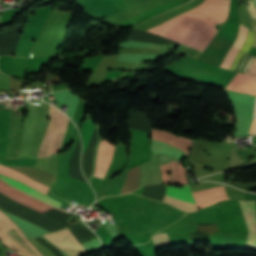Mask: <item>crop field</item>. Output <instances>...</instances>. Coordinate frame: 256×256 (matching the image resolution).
<instances>
[{
  "mask_svg": "<svg viewBox=\"0 0 256 256\" xmlns=\"http://www.w3.org/2000/svg\"><path fill=\"white\" fill-rule=\"evenodd\" d=\"M229 0H204L202 4L186 13L206 17L215 23L225 21ZM181 14L146 32L159 34L204 50L216 34L213 22L208 19Z\"/></svg>",
  "mask_w": 256,
  "mask_h": 256,
  "instance_id": "crop-field-1",
  "label": "crop field"
},
{
  "mask_svg": "<svg viewBox=\"0 0 256 256\" xmlns=\"http://www.w3.org/2000/svg\"><path fill=\"white\" fill-rule=\"evenodd\" d=\"M0 240L11 250L16 248L25 256H42L23 236L20 229L0 212Z\"/></svg>",
  "mask_w": 256,
  "mask_h": 256,
  "instance_id": "crop-field-2",
  "label": "crop field"
},
{
  "mask_svg": "<svg viewBox=\"0 0 256 256\" xmlns=\"http://www.w3.org/2000/svg\"><path fill=\"white\" fill-rule=\"evenodd\" d=\"M49 111H50L51 123L47 129L38 157L46 156V153L52 138V134L60 113V111L55 109L53 106H50ZM69 121L70 120L64 114L60 113L47 156H50L53 153H56L58 151Z\"/></svg>",
  "mask_w": 256,
  "mask_h": 256,
  "instance_id": "crop-field-3",
  "label": "crop field"
},
{
  "mask_svg": "<svg viewBox=\"0 0 256 256\" xmlns=\"http://www.w3.org/2000/svg\"><path fill=\"white\" fill-rule=\"evenodd\" d=\"M249 3H250V5H251V7H252V9L255 13V16H256V10H255L253 4L250 2V0H249ZM247 33H248V28H246V27H244L243 25L240 24L238 37H237L235 43L233 44V46L231 47V49L229 50V52L227 53L222 65H221L222 68L229 69L235 55L237 54L239 49L244 44V42L246 40V37H247ZM255 36H256V32H253V31L249 30L247 41L245 42V44L243 45V47L241 48V50L237 54L232 66L230 67V70L234 71L241 55L244 54V53L247 54V52L249 51L250 47L252 46V44L255 40Z\"/></svg>",
  "mask_w": 256,
  "mask_h": 256,
  "instance_id": "crop-field-4",
  "label": "crop field"
},
{
  "mask_svg": "<svg viewBox=\"0 0 256 256\" xmlns=\"http://www.w3.org/2000/svg\"><path fill=\"white\" fill-rule=\"evenodd\" d=\"M43 236L69 256H77L87 253L85 248L74 238L68 228Z\"/></svg>",
  "mask_w": 256,
  "mask_h": 256,
  "instance_id": "crop-field-5",
  "label": "crop field"
},
{
  "mask_svg": "<svg viewBox=\"0 0 256 256\" xmlns=\"http://www.w3.org/2000/svg\"><path fill=\"white\" fill-rule=\"evenodd\" d=\"M163 201L189 212L198 209V206L191 195L189 185L179 188L168 186Z\"/></svg>",
  "mask_w": 256,
  "mask_h": 256,
  "instance_id": "crop-field-6",
  "label": "crop field"
},
{
  "mask_svg": "<svg viewBox=\"0 0 256 256\" xmlns=\"http://www.w3.org/2000/svg\"><path fill=\"white\" fill-rule=\"evenodd\" d=\"M0 192L5 194L6 196L10 197L11 199L22 203L30 208L38 210L40 212H45L50 208H53L39 200H36L12 187L5 184L3 181L0 180Z\"/></svg>",
  "mask_w": 256,
  "mask_h": 256,
  "instance_id": "crop-field-7",
  "label": "crop field"
},
{
  "mask_svg": "<svg viewBox=\"0 0 256 256\" xmlns=\"http://www.w3.org/2000/svg\"><path fill=\"white\" fill-rule=\"evenodd\" d=\"M249 230L247 245L256 247V201H238Z\"/></svg>",
  "mask_w": 256,
  "mask_h": 256,
  "instance_id": "crop-field-8",
  "label": "crop field"
},
{
  "mask_svg": "<svg viewBox=\"0 0 256 256\" xmlns=\"http://www.w3.org/2000/svg\"><path fill=\"white\" fill-rule=\"evenodd\" d=\"M115 147L102 140L97 155V165L94 176L103 178L113 157Z\"/></svg>",
  "mask_w": 256,
  "mask_h": 256,
  "instance_id": "crop-field-9",
  "label": "crop field"
},
{
  "mask_svg": "<svg viewBox=\"0 0 256 256\" xmlns=\"http://www.w3.org/2000/svg\"><path fill=\"white\" fill-rule=\"evenodd\" d=\"M199 208L227 199L222 186L192 193Z\"/></svg>",
  "mask_w": 256,
  "mask_h": 256,
  "instance_id": "crop-field-10",
  "label": "crop field"
},
{
  "mask_svg": "<svg viewBox=\"0 0 256 256\" xmlns=\"http://www.w3.org/2000/svg\"><path fill=\"white\" fill-rule=\"evenodd\" d=\"M228 90L256 97V78L239 73Z\"/></svg>",
  "mask_w": 256,
  "mask_h": 256,
  "instance_id": "crop-field-11",
  "label": "crop field"
},
{
  "mask_svg": "<svg viewBox=\"0 0 256 256\" xmlns=\"http://www.w3.org/2000/svg\"><path fill=\"white\" fill-rule=\"evenodd\" d=\"M0 178L2 180H4L5 182H7L8 184H10V185H12V186H14V187L24 191L25 193H27V194H29V195H31V196H33V197H35V198H37V199H39L41 201L47 202V203H49V204H51V205H53V206H55L57 208H59L60 205L62 204V203L54 200L53 198H51V197H49V196H47V195H45V194L35 190V189H32V188L26 186L25 184H23V183H21L19 181L13 180V179L8 178V177H5V176H3L1 174H0Z\"/></svg>",
  "mask_w": 256,
  "mask_h": 256,
  "instance_id": "crop-field-12",
  "label": "crop field"
},
{
  "mask_svg": "<svg viewBox=\"0 0 256 256\" xmlns=\"http://www.w3.org/2000/svg\"><path fill=\"white\" fill-rule=\"evenodd\" d=\"M155 131L167 133V134H170L172 136L179 137V138H182V139H185V140L189 141V145H188V149H187V144H188L187 141H184V140L179 139V138L172 137V136L167 135V134L158 133V132H156V135H155V139L156 140H160V141H163V142H165V143H167L169 145L176 146V147L180 148L184 152H186V149H187L186 154L189 153V149H190L191 142H192L191 140H188L186 138L174 135L172 133H168V132H164V131H161V130H157V129H154V128H153L152 136H151L152 139L154 138Z\"/></svg>",
  "mask_w": 256,
  "mask_h": 256,
  "instance_id": "crop-field-13",
  "label": "crop field"
},
{
  "mask_svg": "<svg viewBox=\"0 0 256 256\" xmlns=\"http://www.w3.org/2000/svg\"><path fill=\"white\" fill-rule=\"evenodd\" d=\"M0 173L5 175V176L12 177L16 180H19V181H21V182H23V183H25V184L33 187V188L45 193V194L47 193V191L49 189L48 187H46L42 184H39V183L33 181L32 179L28 178L27 176L15 171L11 168H8L4 165H0Z\"/></svg>",
  "mask_w": 256,
  "mask_h": 256,
  "instance_id": "crop-field-14",
  "label": "crop field"
},
{
  "mask_svg": "<svg viewBox=\"0 0 256 256\" xmlns=\"http://www.w3.org/2000/svg\"><path fill=\"white\" fill-rule=\"evenodd\" d=\"M172 165V174H171V178L173 179L174 182L178 183V184H183V183H187L185 180V173H184V168L181 167V164L179 163V175L182 179L183 182L180 181V179L178 178V174H177V169H176V164L177 162L172 161L170 162Z\"/></svg>",
  "mask_w": 256,
  "mask_h": 256,
  "instance_id": "crop-field-15",
  "label": "crop field"
},
{
  "mask_svg": "<svg viewBox=\"0 0 256 256\" xmlns=\"http://www.w3.org/2000/svg\"><path fill=\"white\" fill-rule=\"evenodd\" d=\"M152 240L155 248L171 244L168 235L165 233L153 236Z\"/></svg>",
  "mask_w": 256,
  "mask_h": 256,
  "instance_id": "crop-field-16",
  "label": "crop field"
},
{
  "mask_svg": "<svg viewBox=\"0 0 256 256\" xmlns=\"http://www.w3.org/2000/svg\"><path fill=\"white\" fill-rule=\"evenodd\" d=\"M161 167V172H162V180L165 183H172L170 176H169V164H165L160 166Z\"/></svg>",
  "mask_w": 256,
  "mask_h": 256,
  "instance_id": "crop-field-17",
  "label": "crop field"
},
{
  "mask_svg": "<svg viewBox=\"0 0 256 256\" xmlns=\"http://www.w3.org/2000/svg\"><path fill=\"white\" fill-rule=\"evenodd\" d=\"M246 72V71H245ZM245 74V73H244ZM246 74L248 75H252L256 77V59L254 61V63L252 64L251 68L249 71L246 72Z\"/></svg>",
  "mask_w": 256,
  "mask_h": 256,
  "instance_id": "crop-field-18",
  "label": "crop field"
},
{
  "mask_svg": "<svg viewBox=\"0 0 256 256\" xmlns=\"http://www.w3.org/2000/svg\"><path fill=\"white\" fill-rule=\"evenodd\" d=\"M256 132V120L253 119L249 134Z\"/></svg>",
  "mask_w": 256,
  "mask_h": 256,
  "instance_id": "crop-field-19",
  "label": "crop field"
},
{
  "mask_svg": "<svg viewBox=\"0 0 256 256\" xmlns=\"http://www.w3.org/2000/svg\"><path fill=\"white\" fill-rule=\"evenodd\" d=\"M91 1H94V0H86L87 3H88V2H91Z\"/></svg>",
  "mask_w": 256,
  "mask_h": 256,
  "instance_id": "crop-field-20",
  "label": "crop field"
},
{
  "mask_svg": "<svg viewBox=\"0 0 256 256\" xmlns=\"http://www.w3.org/2000/svg\"><path fill=\"white\" fill-rule=\"evenodd\" d=\"M255 117H256V113H255Z\"/></svg>",
  "mask_w": 256,
  "mask_h": 256,
  "instance_id": "crop-field-21",
  "label": "crop field"
},
{
  "mask_svg": "<svg viewBox=\"0 0 256 256\" xmlns=\"http://www.w3.org/2000/svg\"><path fill=\"white\" fill-rule=\"evenodd\" d=\"M68 215H71V214H68Z\"/></svg>",
  "mask_w": 256,
  "mask_h": 256,
  "instance_id": "crop-field-22",
  "label": "crop field"
}]
</instances>
